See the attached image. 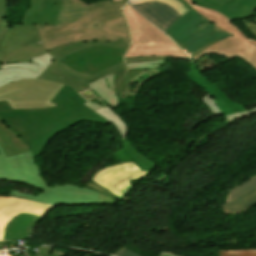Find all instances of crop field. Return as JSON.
<instances>
[{"mask_svg": "<svg viewBox=\"0 0 256 256\" xmlns=\"http://www.w3.org/2000/svg\"><path fill=\"white\" fill-rule=\"evenodd\" d=\"M126 2L109 0L88 6L80 0H62L56 26L35 24L39 40L47 52L75 43L130 42L120 11Z\"/></svg>", "mask_w": 256, "mask_h": 256, "instance_id": "obj_1", "label": "crop field"}, {"mask_svg": "<svg viewBox=\"0 0 256 256\" xmlns=\"http://www.w3.org/2000/svg\"><path fill=\"white\" fill-rule=\"evenodd\" d=\"M52 102L59 106L13 110L7 102H0V117L7 127L30 145L34 158L43 154L48 142L57 134L80 121L109 124L87 108L83 104L85 100L69 86L64 85Z\"/></svg>", "mask_w": 256, "mask_h": 256, "instance_id": "obj_2", "label": "crop field"}, {"mask_svg": "<svg viewBox=\"0 0 256 256\" xmlns=\"http://www.w3.org/2000/svg\"><path fill=\"white\" fill-rule=\"evenodd\" d=\"M0 180L21 182L43 191L35 197L11 189L8 196L54 205H98V191L68 183L55 185L54 188L47 187L39 177L31 151L7 157L0 146Z\"/></svg>", "mask_w": 256, "mask_h": 256, "instance_id": "obj_3", "label": "crop field"}, {"mask_svg": "<svg viewBox=\"0 0 256 256\" xmlns=\"http://www.w3.org/2000/svg\"><path fill=\"white\" fill-rule=\"evenodd\" d=\"M122 12L127 18L132 37V45L125 58L169 56L188 59L171 39L155 28L129 4L122 9Z\"/></svg>", "mask_w": 256, "mask_h": 256, "instance_id": "obj_4", "label": "crop field"}, {"mask_svg": "<svg viewBox=\"0 0 256 256\" xmlns=\"http://www.w3.org/2000/svg\"><path fill=\"white\" fill-rule=\"evenodd\" d=\"M185 1L188 2L193 9H195L203 17L211 21L215 26L232 35L227 39L215 43L206 50L204 49L205 51L192 58L193 61H196L205 54H221L227 57L221 61H217L221 64L238 56L256 68L255 40L248 39L239 29L231 24L227 17L223 16L222 14L208 8L197 6L191 0Z\"/></svg>", "mask_w": 256, "mask_h": 256, "instance_id": "obj_5", "label": "crop field"}, {"mask_svg": "<svg viewBox=\"0 0 256 256\" xmlns=\"http://www.w3.org/2000/svg\"><path fill=\"white\" fill-rule=\"evenodd\" d=\"M188 20V21H186ZM202 26H198V25ZM189 56L193 57L229 34L215 27L193 9L165 32Z\"/></svg>", "mask_w": 256, "mask_h": 256, "instance_id": "obj_6", "label": "crop field"}, {"mask_svg": "<svg viewBox=\"0 0 256 256\" xmlns=\"http://www.w3.org/2000/svg\"><path fill=\"white\" fill-rule=\"evenodd\" d=\"M129 43H103V42H93L84 44H75L71 46H66L57 50L49 52L55 59L53 63L40 75L39 79H47L55 82H60L71 86L77 92L88 88L87 84L104 75H108L118 70L125 68L124 63H120L113 66L107 70L99 72L94 75H84L75 72L73 69L63 64L61 61L65 59L68 55L83 50L85 48L93 46H110L118 49L127 50Z\"/></svg>", "mask_w": 256, "mask_h": 256, "instance_id": "obj_7", "label": "crop field"}, {"mask_svg": "<svg viewBox=\"0 0 256 256\" xmlns=\"http://www.w3.org/2000/svg\"><path fill=\"white\" fill-rule=\"evenodd\" d=\"M163 62L164 61H152L126 64L127 69L89 83L88 86L90 88L79 92V95L86 100L87 103H85V105L94 111L102 108L88 102L95 97L105 106L108 104L111 108H116L119 103L118 99L122 98V93L130 81L141 75L146 68H157L158 63Z\"/></svg>", "mask_w": 256, "mask_h": 256, "instance_id": "obj_8", "label": "crop field"}, {"mask_svg": "<svg viewBox=\"0 0 256 256\" xmlns=\"http://www.w3.org/2000/svg\"><path fill=\"white\" fill-rule=\"evenodd\" d=\"M63 84L46 80L27 79L0 88V101H7L13 109L57 106L50 101Z\"/></svg>", "mask_w": 256, "mask_h": 256, "instance_id": "obj_9", "label": "crop field"}, {"mask_svg": "<svg viewBox=\"0 0 256 256\" xmlns=\"http://www.w3.org/2000/svg\"><path fill=\"white\" fill-rule=\"evenodd\" d=\"M44 53L35 26L12 25L0 45V67L13 62L31 63L32 57Z\"/></svg>", "mask_w": 256, "mask_h": 256, "instance_id": "obj_10", "label": "crop field"}, {"mask_svg": "<svg viewBox=\"0 0 256 256\" xmlns=\"http://www.w3.org/2000/svg\"><path fill=\"white\" fill-rule=\"evenodd\" d=\"M191 60V70L187 74L190 80L209 93L201 100L216 116L226 115L228 120L235 119L253 112L256 108L248 111L239 103L233 104L230 99L211 83L200 71L199 67Z\"/></svg>", "mask_w": 256, "mask_h": 256, "instance_id": "obj_11", "label": "crop field"}, {"mask_svg": "<svg viewBox=\"0 0 256 256\" xmlns=\"http://www.w3.org/2000/svg\"><path fill=\"white\" fill-rule=\"evenodd\" d=\"M124 52L110 47H94L76 52L62 62L80 73L93 74L122 62Z\"/></svg>", "mask_w": 256, "mask_h": 256, "instance_id": "obj_12", "label": "crop field"}, {"mask_svg": "<svg viewBox=\"0 0 256 256\" xmlns=\"http://www.w3.org/2000/svg\"><path fill=\"white\" fill-rule=\"evenodd\" d=\"M147 176L148 173L132 161L102 168L90 180L121 199L131 189L128 181Z\"/></svg>", "mask_w": 256, "mask_h": 256, "instance_id": "obj_13", "label": "crop field"}, {"mask_svg": "<svg viewBox=\"0 0 256 256\" xmlns=\"http://www.w3.org/2000/svg\"><path fill=\"white\" fill-rule=\"evenodd\" d=\"M56 206L14 197L0 196V240H3L8 222L21 212L43 215Z\"/></svg>", "mask_w": 256, "mask_h": 256, "instance_id": "obj_14", "label": "crop field"}, {"mask_svg": "<svg viewBox=\"0 0 256 256\" xmlns=\"http://www.w3.org/2000/svg\"><path fill=\"white\" fill-rule=\"evenodd\" d=\"M53 57L48 53L32 60L29 63L6 64L0 68V87L6 83L23 80L27 78H37L51 64Z\"/></svg>", "mask_w": 256, "mask_h": 256, "instance_id": "obj_15", "label": "crop field"}, {"mask_svg": "<svg viewBox=\"0 0 256 256\" xmlns=\"http://www.w3.org/2000/svg\"><path fill=\"white\" fill-rule=\"evenodd\" d=\"M134 7L162 31L181 16L171 6L163 3L148 2Z\"/></svg>", "mask_w": 256, "mask_h": 256, "instance_id": "obj_16", "label": "crop field"}, {"mask_svg": "<svg viewBox=\"0 0 256 256\" xmlns=\"http://www.w3.org/2000/svg\"><path fill=\"white\" fill-rule=\"evenodd\" d=\"M61 0H31L32 10H27L22 24L55 25Z\"/></svg>", "mask_w": 256, "mask_h": 256, "instance_id": "obj_17", "label": "crop field"}, {"mask_svg": "<svg viewBox=\"0 0 256 256\" xmlns=\"http://www.w3.org/2000/svg\"><path fill=\"white\" fill-rule=\"evenodd\" d=\"M200 6L214 9L226 15L230 21L238 20L245 17H251L253 10L256 9V0H234L229 4L221 7L206 0H192Z\"/></svg>", "mask_w": 256, "mask_h": 256, "instance_id": "obj_18", "label": "crop field"}, {"mask_svg": "<svg viewBox=\"0 0 256 256\" xmlns=\"http://www.w3.org/2000/svg\"><path fill=\"white\" fill-rule=\"evenodd\" d=\"M0 144L7 156H13L31 150L29 145L21 140L11 129L7 128L1 119Z\"/></svg>", "mask_w": 256, "mask_h": 256, "instance_id": "obj_19", "label": "crop field"}, {"mask_svg": "<svg viewBox=\"0 0 256 256\" xmlns=\"http://www.w3.org/2000/svg\"><path fill=\"white\" fill-rule=\"evenodd\" d=\"M37 218L38 216L28 213L16 216L9 222L4 241L27 237V227Z\"/></svg>", "mask_w": 256, "mask_h": 256, "instance_id": "obj_20", "label": "crop field"}, {"mask_svg": "<svg viewBox=\"0 0 256 256\" xmlns=\"http://www.w3.org/2000/svg\"><path fill=\"white\" fill-rule=\"evenodd\" d=\"M256 205V188L244 193L222 207L227 214H238Z\"/></svg>", "mask_w": 256, "mask_h": 256, "instance_id": "obj_21", "label": "crop field"}, {"mask_svg": "<svg viewBox=\"0 0 256 256\" xmlns=\"http://www.w3.org/2000/svg\"><path fill=\"white\" fill-rule=\"evenodd\" d=\"M120 144L129 154V156L132 157L134 161L142 168L143 171H151L153 168L157 166L156 163L139 154L128 141L122 142Z\"/></svg>", "mask_w": 256, "mask_h": 256, "instance_id": "obj_22", "label": "crop field"}, {"mask_svg": "<svg viewBox=\"0 0 256 256\" xmlns=\"http://www.w3.org/2000/svg\"><path fill=\"white\" fill-rule=\"evenodd\" d=\"M96 112L105 117L109 122L113 123L117 127L120 134L123 135L124 141L127 140V125L117 114L112 111L108 105Z\"/></svg>", "mask_w": 256, "mask_h": 256, "instance_id": "obj_23", "label": "crop field"}, {"mask_svg": "<svg viewBox=\"0 0 256 256\" xmlns=\"http://www.w3.org/2000/svg\"><path fill=\"white\" fill-rule=\"evenodd\" d=\"M155 74H159V71L157 69H146V71L141 76L128 84L123 94V98L136 95V92L139 89L140 85L144 81L150 79Z\"/></svg>", "mask_w": 256, "mask_h": 256, "instance_id": "obj_24", "label": "crop field"}, {"mask_svg": "<svg viewBox=\"0 0 256 256\" xmlns=\"http://www.w3.org/2000/svg\"><path fill=\"white\" fill-rule=\"evenodd\" d=\"M255 186H256V176L231 189L227 197V203H229L231 200L235 199L239 195L252 189Z\"/></svg>", "mask_w": 256, "mask_h": 256, "instance_id": "obj_25", "label": "crop field"}, {"mask_svg": "<svg viewBox=\"0 0 256 256\" xmlns=\"http://www.w3.org/2000/svg\"><path fill=\"white\" fill-rule=\"evenodd\" d=\"M147 1H157V2H163L165 4L171 5L175 10H177L181 15L185 12L189 11L187 8H185L181 3H179L177 0H129V2L132 5L141 4Z\"/></svg>", "mask_w": 256, "mask_h": 256, "instance_id": "obj_26", "label": "crop field"}, {"mask_svg": "<svg viewBox=\"0 0 256 256\" xmlns=\"http://www.w3.org/2000/svg\"><path fill=\"white\" fill-rule=\"evenodd\" d=\"M6 9H7V1L0 0V42L5 36L7 29H9V27L11 26V24L7 23L8 19L3 18Z\"/></svg>", "mask_w": 256, "mask_h": 256, "instance_id": "obj_27", "label": "crop field"}, {"mask_svg": "<svg viewBox=\"0 0 256 256\" xmlns=\"http://www.w3.org/2000/svg\"><path fill=\"white\" fill-rule=\"evenodd\" d=\"M219 256H256L255 250H218Z\"/></svg>", "mask_w": 256, "mask_h": 256, "instance_id": "obj_28", "label": "crop field"}, {"mask_svg": "<svg viewBox=\"0 0 256 256\" xmlns=\"http://www.w3.org/2000/svg\"><path fill=\"white\" fill-rule=\"evenodd\" d=\"M152 60H165V57H139V58H129L125 59L126 63L131 62H142V61H152Z\"/></svg>", "mask_w": 256, "mask_h": 256, "instance_id": "obj_29", "label": "crop field"}, {"mask_svg": "<svg viewBox=\"0 0 256 256\" xmlns=\"http://www.w3.org/2000/svg\"><path fill=\"white\" fill-rule=\"evenodd\" d=\"M242 22L246 26L247 30L250 31L256 39V17H255V21L242 20Z\"/></svg>", "mask_w": 256, "mask_h": 256, "instance_id": "obj_30", "label": "crop field"}, {"mask_svg": "<svg viewBox=\"0 0 256 256\" xmlns=\"http://www.w3.org/2000/svg\"><path fill=\"white\" fill-rule=\"evenodd\" d=\"M116 256H140L136 253H134L133 251L129 250L128 248H124L121 251H119L118 253L115 254Z\"/></svg>", "mask_w": 256, "mask_h": 256, "instance_id": "obj_31", "label": "crop field"}, {"mask_svg": "<svg viewBox=\"0 0 256 256\" xmlns=\"http://www.w3.org/2000/svg\"><path fill=\"white\" fill-rule=\"evenodd\" d=\"M40 220H42V218L39 216V218H38L36 221H34V222L29 226V228H28V235H33V234H32V229H33L34 225H35L38 221H40Z\"/></svg>", "mask_w": 256, "mask_h": 256, "instance_id": "obj_32", "label": "crop field"}, {"mask_svg": "<svg viewBox=\"0 0 256 256\" xmlns=\"http://www.w3.org/2000/svg\"><path fill=\"white\" fill-rule=\"evenodd\" d=\"M208 1H211V2H214L216 4H220V5H225L227 4L228 2L232 1V0H208Z\"/></svg>", "mask_w": 256, "mask_h": 256, "instance_id": "obj_33", "label": "crop field"}, {"mask_svg": "<svg viewBox=\"0 0 256 256\" xmlns=\"http://www.w3.org/2000/svg\"><path fill=\"white\" fill-rule=\"evenodd\" d=\"M179 2H181L184 6H186L188 9H191V6L189 4H187L185 1L183 0H178Z\"/></svg>", "mask_w": 256, "mask_h": 256, "instance_id": "obj_34", "label": "crop field"}, {"mask_svg": "<svg viewBox=\"0 0 256 256\" xmlns=\"http://www.w3.org/2000/svg\"><path fill=\"white\" fill-rule=\"evenodd\" d=\"M159 255L160 256H176V255H172V254H163V253H160Z\"/></svg>", "mask_w": 256, "mask_h": 256, "instance_id": "obj_35", "label": "crop field"}, {"mask_svg": "<svg viewBox=\"0 0 256 256\" xmlns=\"http://www.w3.org/2000/svg\"><path fill=\"white\" fill-rule=\"evenodd\" d=\"M113 2H115V1H118V0H112Z\"/></svg>", "mask_w": 256, "mask_h": 256, "instance_id": "obj_36", "label": "crop field"}, {"mask_svg": "<svg viewBox=\"0 0 256 256\" xmlns=\"http://www.w3.org/2000/svg\"><path fill=\"white\" fill-rule=\"evenodd\" d=\"M0 243H3V241H0Z\"/></svg>", "mask_w": 256, "mask_h": 256, "instance_id": "obj_37", "label": "crop field"}]
</instances>
